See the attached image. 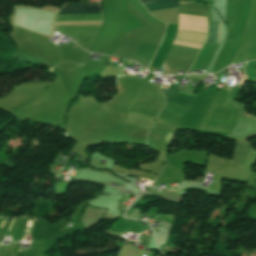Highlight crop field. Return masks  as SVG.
Instances as JSON below:
<instances>
[{
  "mask_svg": "<svg viewBox=\"0 0 256 256\" xmlns=\"http://www.w3.org/2000/svg\"><path fill=\"white\" fill-rule=\"evenodd\" d=\"M253 68H256V67H253Z\"/></svg>",
  "mask_w": 256,
  "mask_h": 256,
  "instance_id": "crop-field-5",
  "label": "crop field"
},
{
  "mask_svg": "<svg viewBox=\"0 0 256 256\" xmlns=\"http://www.w3.org/2000/svg\"><path fill=\"white\" fill-rule=\"evenodd\" d=\"M219 22H212L209 43L217 42ZM220 28V27H219ZM219 38V37H218Z\"/></svg>",
  "mask_w": 256,
  "mask_h": 256,
  "instance_id": "crop-field-3",
  "label": "crop field"
},
{
  "mask_svg": "<svg viewBox=\"0 0 256 256\" xmlns=\"http://www.w3.org/2000/svg\"><path fill=\"white\" fill-rule=\"evenodd\" d=\"M102 13V2L65 5L58 14Z\"/></svg>",
  "mask_w": 256,
  "mask_h": 256,
  "instance_id": "crop-field-1",
  "label": "crop field"
},
{
  "mask_svg": "<svg viewBox=\"0 0 256 256\" xmlns=\"http://www.w3.org/2000/svg\"><path fill=\"white\" fill-rule=\"evenodd\" d=\"M198 49V48H197Z\"/></svg>",
  "mask_w": 256,
  "mask_h": 256,
  "instance_id": "crop-field-7",
  "label": "crop field"
},
{
  "mask_svg": "<svg viewBox=\"0 0 256 256\" xmlns=\"http://www.w3.org/2000/svg\"><path fill=\"white\" fill-rule=\"evenodd\" d=\"M154 0H140L141 3L150 2ZM149 11L162 9L166 7L176 6L178 3L171 0H157L154 2L144 4Z\"/></svg>",
  "mask_w": 256,
  "mask_h": 256,
  "instance_id": "crop-field-2",
  "label": "crop field"
},
{
  "mask_svg": "<svg viewBox=\"0 0 256 256\" xmlns=\"http://www.w3.org/2000/svg\"><path fill=\"white\" fill-rule=\"evenodd\" d=\"M255 182H256V179H255Z\"/></svg>",
  "mask_w": 256,
  "mask_h": 256,
  "instance_id": "crop-field-6",
  "label": "crop field"
},
{
  "mask_svg": "<svg viewBox=\"0 0 256 256\" xmlns=\"http://www.w3.org/2000/svg\"><path fill=\"white\" fill-rule=\"evenodd\" d=\"M12 224H13V222H12ZM12 224H11V226H12ZM11 228V227H10Z\"/></svg>",
  "mask_w": 256,
  "mask_h": 256,
  "instance_id": "crop-field-4",
  "label": "crop field"
}]
</instances>
